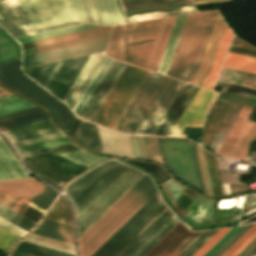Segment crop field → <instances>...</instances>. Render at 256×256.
Instances as JSON below:
<instances>
[{"label":"crop field","mask_w":256,"mask_h":256,"mask_svg":"<svg viewBox=\"0 0 256 256\" xmlns=\"http://www.w3.org/2000/svg\"><path fill=\"white\" fill-rule=\"evenodd\" d=\"M0 191L3 192V193H5V194H7V195H9V196H11V197H13V198H15L16 200H18V201H20V202H22V203L28 205L29 207H31V208H33V209H35V210H37V211H39V212H41V213H43V214H44V212L46 211V210H44V209H42V208H40V207L34 205L33 203H31V202H29V201H27V200L21 198L20 196H18V195H16V194L12 193V192H10V191H8L7 189H5V188H3V187H1V186H0Z\"/></svg>","instance_id":"63"},{"label":"crop field","mask_w":256,"mask_h":256,"mask_svg":"<svg viewBox=\"0 0 256 256\" xmlns=\"http://www.w3.org/2000/svg\"><path fill=\"white\" fill-rule=\"evenodd\" d=\"M255 224V223H254ZM254 224L242 226L232 237H230L212 256H221L226 252L249 228Z\"/></svg>","instance_id":"55"},{"label":"crop field","mask_w":256,"mask_h":256,"mask_svg":"<svg viewBox=\"0 0 256 256\" xmlns=\"http://www.w3.org/2000/svg\"><path fill=\"white\" fill-rule=\"evenodd\" d=\"M2 138L0 137V140H1Z\"/></svg>","instance_id":"69"},{"label":"crop field","mask_w":256,"mask_h":256,"mask_svg":"<svg viewBox=\"0 0 256 256\" xmlns=\"http://www.w3.org/2000/svg\"><path fill=\"white\" fill-rule=\"evenodd\" d=\"M157 192L147 175L132 186L79 238L80 256H90Z\"/></svg>","instance_id":"2"},{"label":"crop field","mask_w":256,"mask_h":256,"mask_svg":"<svg viewBox=\"0 0 256 256\" xmlns=\"http://www.w3.org/2000/svg\"><path fill=\"white\" fill-rule=\"evenodd\" d=\"M171 211L164 204L150 219H148L119 249L111 256H128L170 215ZM141 245V244H140ZM139 245V246H140ZM138 246V247H139Z\"/></svg>","instance_id":"17"},{"label":"crop field","mask_w":256,"mask_h":256,"mask_svg":"<svg viewBox=\"0 0 256 256\" xmlns=\"http://www.w3.org/2000/svg\"><path fill=\"white\" fill-rule=\"evenodd\" d=\"M113 62V59H109L104 57L102 62L100 63L99 67L97 68L96 72L94 73L93 77L91 78L90 82L88 83L87 87L83 91L82 95L76 102L75 106L73 107L72 111L75 115L78 116L80 111L82 110L83 106L95 90L96 86L108 70L109 66Z\"/></svg>","instance_id":"33"},{"label":"crop field","mask_w":256,"mask_h":256,"mask_svg":"<svg viewBox=\"0 0 256 256\" xmlns=\"http://www.w3.org/2000/svg\"><path fill=\"white\" fill-rule=\"evenodd\" d=\"M126 161L153 174L156 177L159 185L162 184L163 182H165L166 180H168L169 178H171L163 168H161L153 163L129 160V159H126Z\"/></svg>","instance_id":"51"},{"label":"crop field","mask_w":256,"mask_h":256,"mask_svg":"<svg viewBox=\"0 0 256 256\" xmlns=\"http://www.w3.org/2000/svg\"><path fill=\"white\" fill-rule=\"evenodd\" d=\"M34 107V105L12 95L0 99V116L22 109Z\"/></svg>","instance_id":"47"},{"label":"crop field","mask_w":256,"mask_h":256,"mask_svg":"<svg viewBox=\"0 0 256 256\" xmlns=\"http://www.w3.org/2000/svg\"><path fill=\"white\" fill-rule=\"evenodd\" d=\"M140 177L141 176L127 170L95 202L106 211Z\"/></svg>","instance_id":"26"},{"label":"crop field","mask_w":256,"mask_h":256,"mask_svg":"<svg viewBox=\"0 0 256 256\" xmlns=\"http://www.w3.org/2000/svg\"><path fill=\"white\" fill-rule=\"evenodd\" d=\"M215 85L226 87L225 89L226 92L256 98V89L254 88H249V87H244V86H239V85H234V84H229V83H224L219 81H217Z\"/></svg>","instance_id":"54"},{"label":"crop field","mask_w":256,"mask_h":256,"mask_svg":"<svg viewBox=\"0 0 256 256\" xmlns=\"http://www.w3.org/2000/svg\"><path fill=\"white\" fill-rule=\"evenodd\" d=\"M253 108L242 106L235 122L225 138L218 154L229 157L246 121Z\"/></svg>","instance_id":"30"},{"label":"crop field","mask_w":256,"mask_h":256,"mask_svg":"<svg viewBox=\"0 0 256 256\" xmlns=\"http://www.w3.org/2000/svg\"><path fill=\"white\" fill-rule=\"evenodd\" d=\"M198 86L185 83L153 134L168 135L195 94Z\"/></svg>","instance_id":"19"},{"label":"crop field","mask_w":256,"mask_h":256,"mask_svg":"<svg viewBox=\"0 0 256 256\" xmlns=\"http://www.w3.org/2000/svg\"><path fill=\"white\" fill-rule=\"evenodd\" d=\"M70 141L71 140H69L67 137H64V138H60V139H56V140H52V141H47V142H43V143H39V144H35V145L18 148L17 150H18V152H21V151L39 149V148H43V147H48V146H52V145L70 142Z\"/></svg>","instance_id":"61"},{"label":"crop field","mask_w":256,"mask_h":256,"mask_svg":"<svg viewBox=\"0 0 256 256\" xmlns=\"http://www.w3.org/2000/svg\"><path fill=\"white\" fill-rule=\"evenodd\" d=\"M33 233L73 243V227L57 222L44 219L39 228Z\"/></svg>","instance_id":"32"},{"label":"crop field","mask_w":256,"mask_h":256,"mask_svg":"<svg viewBox=\"0 0 256 256\" xmlns=\"http://www.w3.org/2000/svg\"><path fill=\"white\" fill-rule=\"evenodd\" d=\"M127 166L115 161L104 162L71 183L65 194L77 215L90 204Z\"/></svg>","instance_id":"4"},{"label":"crop field","mask_w":256,"mask_h":256,"mask_svg":"<svg viewBox=\"0 0 256 256\" xmlns=\"http://www.w3.org/2000/svg\"><path fill=\"white\" fill-rule=\"evenodd\" d=\"M45 159L48 163L58 166L60 168L66 169L68 171L74 172L76 174L80 173L81 171L85 170L87 167L77 164L75 162L69 161L57 155L47 156Z\"/></svg>","instance_id":"53"},{"label":"crop field","mask_w":256,"mask_h":256,"mask_svg":"<svg viewBox=\"0 0 256 256\" xmlns=\"http://www.w3.org/2000/svg\"><path fill=\"white\" fill-rule=\"evenodd\" d=\"M45 218L73 226L72 213L61 196Z\"/></svg>","instance_id":"40"},{"label":"crop field","mask_w":256,"mask_h":256,"mask_svg":"<svg viewBox=\"0 0 256 256\" xmlns=\"http://www.w3.org/2000/svg\"><path fill=\"white\" fill-rule=\"evenodd\" d=\"M97 27H101V26L83 24V25L59 29V30H55V31L45 32V33H41V34L17 38L16 40L19 44H22V43L41 40V39H45V38H50V37L60 36V35H64V34L79 32V31H83V30L93 29V28H97Z\"/></svg>","instance_id":"38"},{"label":"crop field","mask_w":256,"mask_h":256,"mask_svg":"<svg viewBox=\"0 0 256 256\" xmlns=\"http://www.w3.org/2000/svg\"><path fill=\"white\" fill-rule=\"evenodd\" d=\"M0 203L36 223L43 215L1 192H0Z\"/></svg>","instance_id":"39"},{"label":"crop field","mask_w":256,"mask_h":256,"mask_svg":"<svg viewBox=\"0 0 256 256\" xmlns=\"http://www.w3.org/2000/svg\"><path fill=\"white\" fill-rule=\"evenodd\" d=\"M18 63L19 59L0 65V83L45 107L67 131L73 120L70 112L58 101L50 98L47 92L22 75L18 69Z\"/></svg>","instance_id":"5"},{"label":"crop field","mask_w":256,"mask_h":256,"mask_svg":"<svg viewBox=\"0 0 256 256\" xmlns=\"http://www.w3.org/2000/svg\"><path fill=\"white\" fill-rule=\"evenodd\" d=\"M96 24L111 26L124 23L117 0H88Z\"/></svg>","instance_id":"23"},{"label":"crop field","mask_w":256,"mask_h":256,"mask_svg":"<svg viewBox=\"0 0 256 256\" xmlns=\"http://www.w3.org/2000/svg\"><path fill=\"white\" fill-rule=\"evenodd\" d=\"M187 15L177 16L174 22L173 28L171 30L169 39L167 41L166 47L164 49L162 58L160 60L159 66L157 68V73L166 74L171 57L173 55L175 46L177 44L179 35L181 33L184 21Z\"/></svg>","instance_id":"31"},{"label":"crop field","mask_w":256,"mask_h":256,"mask_svg":"<svg viewBox=\"0 0 256 256\" xmlns=\"http://www.w3.org/2000/svg\"><path fill=\"white\" fill-rule=\"evenodd\" d=\"M231 36H232V33H231L229 27L227 26V29H226V31H225L223 40H222V42H221L219 51H218L217 56H216V59H215V61H214L212 70H211V72H210L208 81H207V83H206V86H205L206 88H209V89H212V88H213V85H214V83H215L217 74H218V72H219L221 63H222V61H223L225 52H226V50H227L229 41H230V39H231Z\"/></svg>","instance_id":"41"},{"label":"crop field","mask_w":256,"mask_h":256,"mask_svg":"<svg viewBox=\"0 0 256 256\" xmlns=\"http://www.w3.org/2000/svg\"><path fill=\"white\" fill-rule=\"evenodd\" d=\"M19 58V47L0 29V64Z\"/></svg>","instance_id":"43"},{"label":"crop field","mask_w":256,"mask_h":256,"mask_svg":"<svg viewBox=\"0 0 256 256\" xmlns=\"http://www.w3.org/2000/svg\"><path fill=\"white\" fill-rule=\"evenodd\" d=\"M80 20L83 22L94 23L91 10L87 0H74Z\"/></svg>","instance_id":"56"},{"label":"crop field","mask_w":256,"mask_h":256,"mask_svg":"<svg viewBox=\"0 0 256 256\" xmlns=\"http://www.w3.org/2000/svg\"><path fill=\"white\" fill-rule=\"evenodd\" d=\"M175 17L162 18L158 20L147 53L142 63V68L154 72L156 71Z\"/></svg>","instance_id":"15"},{"label":"crop field","mask_w":256,"mask_h":256,"mask_svg":"<svg viewBox=\"0 0 256 256\" xmlns=\"http://www.w3.org/2000/svg\"><path fill=\"white\" fill-rule=\"evenodd\" d=\"M196 12L194 5L126 16L127 23Z\"/></svg>","instance_id":"36"},{"label":"crop field","mask_w":256,"mask_h":256,"mask_svg":"<svg viewBox=\"0 0 256 256\" xmlns=\"http://www.w3.org/2000/svg\"><path fill=\"white\" fill-rule=\"evenodd\" d=\"M0 227L8 230L9 232H11V233H13V234H15V235H17L19 237L21 235H23L25 232H27V231H25V230L15 226V225H13L12 223H10V222L2 219V218H0Z\"/></svg>","instance_id":"62"},{"label":"crop field","mask_w":256,"mask_h":256,"mask_svg":"<svg viewBox=\"0 0 256 256\" xmlns=\"http://www.w3.org/2000/svg\"><path fill=\"white\" fill-rule=\"evenodd\" d=\"M255 238H256V224L246 234H244L226 253L224 252L225 253V254L223 253L224 255L223 254L222 255L237 256Z\"/></svg>","instance_id":"50"},{"label":"crop field","mask_w":256,"mask_h":256,"mask_svg":"<svg viewBox=\"0 0 256 256\" xmlns=\"http://www.w3.org/2000/svg\"><path fill=\"white\" fill-rule=\"evenodd\" d=\"M220 229L211 239H209L193 256H203L222 236H224L230 229Z\"/></svg>","instance_id":"57"},{"label":"crop field","mask_w":256,"mask_h":256,"mask_svg":"<svg viewBox=\"0 0 256 256\" xmlns=\"http://www.w3.org/2000/svg\"><path fill=\"white\" fill-rule=\"evenodd\" d=\"M212 1H219V0H193L194 4L212 2Z\"/></svg>","instance_id":"67"},{"label":"crop field","mask_w":256,"mask_h":256,"mask_svg":"<svg viewBox=\"0 0 256 256\" xmlns=\"http://www.w3.org/2000/svg\"><path fill=\"white\" fill-rule=\"evenodd\" d=\"M45 119H49V117L39 108L35 107L26 111L0 117V130L3 131Z\"/></svg>","instance_id":"28"},{"label":"crop field","mask_w":256,"mask_h":256,"mask_svg":"<svg viewBox=\"0 0 256 256\" xmlns=\"http://www.w3.org/2000/svg\"><path fill=\"white\" fill-rule=\"evenodd\" d=\"M97 128L103 153L134 157L129 135Z\"/></svg>","instance_id":"22"},{"label":"crop field","mask_w":256,"mask_h":256,"mask_svg":"<svg viewBox=\"0 0 256 256\" xmlns=\"http://www.w3.org/2000/svg\"><path fill=\"white\" fill-rule=\"evenodd\" d=\"M163 163L186 184L203 192L194 142L187 139L157 137Z\"/></svg>","instance_id":"6"},{"label":"crop field","mask_w":256,"mask_h":256,"mask_svg":"<svg viewBox=\"0 0 256 256\" xmlns=\"http://www.w3.org/2000/svg\"><path fill=\"white\" fill-rule=\"evenodd\" d=\"M102 53L91 55L90 59L86 63L85 67L83 68L82 72L78 76L77 80L73 84L72 88L70 89L69 93L64 99V103L71 108L83 88L85 87L86 83L88 82L89 78L91 77L92 73L94 72L95 68L97 67L102 55Z\"/></svg>","instance_id":"29"},{"label":"crop field","mask_w":256,"mask_h":256,"mask_svg":"<svg viewBox=\"0 0 256 256\" xmlns=\"http://www.w3.org/2000/svg\"><path fill=\"white\" fill-rule=\"evenodd\" d=\"M19 237L9 233L8 231L0 228V249L8 252L10 247Z\"/></svg>","instance_id":"59"},{"label":"crop field","mask_w":256,"mask_h":256,"mask_svg":"<svg viewBox=\"0 0 256 256\" xmlns=\"http://www.w3.org/2000/svg\"><path fill=\"white\" fill-rule=\"evenodd\" d=\"M11 256H26V255L13 252V254Z\"/></svg>","instance_id":"68"},{"label":"crop field","mask_w":256,"mask_h":256,"mask_svg":"<svg viewBox=\"0 0 256 256\" xmlns=\"http://www.w3.org/2000/svg\"><path fill=\"white\" fill-rule=\"evenodd\" d=\"M30 177L20 162L16 161L4 141H0V180Z\"/></svg>","instance_id":"27"},{"label":"crop field","mask_w":256,"mask_h":256,"mask_svg":"<svg viewBox=\"0 0 256 256\" xmlns=\"http://www.w3.org/2000/svg\"><path fill=\"white\" fill-rule=\"evenodd\" d=\"M157 20L140 22L137 24L132 41L130 43L125 62L136 66H141L152 33L154 31Z\"/></svg>","instance_id":"18"},{"label":"crop field","mask_w":256,"mask_h":256,"mask_svg":"<svg viewBox=\"0 0 256 256\" xmlns=\"http://www.w3.org/2000/svg\"><path fill=\"white\" fill-rule=\"evenodd\" d=\"M182 1H188V0H124L121 2H122L123 10L127 11V10L158 6V5H164V4L176 3V2H182Z\"/></svg>","instance_id":"48"},{"label":"crop field","mask_w":256,"mask_h":256,"mask_svg":"<svg viewBox=\"0 0 256 256\" xmlns=\"http://www.w3.org/2000/svg\"><path fill=\"white\" fill-rule=\"evenodd\" d=\"M130 137H131L135 157L147 158L143 138L138 136H132V135H130Z\"/></svg>","instance_id":"60"},{"label":"crop field","mask_w":256,"mask_h":256,"mask_svg":"<svg viewBox=\"0 0 256 256\" xmlns=\"http://www.w3.org/2000/svg\"><path fill=\"white\" fill-rule=\"evenodd\" d=\"M216 94L199 87L169 136L185 137L186 127L200 128Z\"/></svg>","instance_id":"11"},{"label":"crop field","mask_w":256,"mask_h":256,"mask_svg":"<svg viewBox=\"0 0 256 256\" xmlns=\"http://www.w3.org/2000/svg\"><path fill=\"white\" fill-rule=\"evenodd\" d=\"M58 155L64 158H67L69 160L75 161L77 163H80L82 165H85L89 168L101 160L108 159V157H103V156L88 152L84 149L67 152L63 154H58Z\"/></svg>","instance_id":"44"},{"label":"crop field","mask_w":256,"mask_h":256,"mask_svg":"<svg viewBox=\"0 0 256 256\" xmlns=\"http://www.w3.org/2000/svg\"><path fill=\"white\" fill-rule=\"evenodd\" d=\"M35 29L80 21L73 0H18Z\"/></svg>","instance_id":"9"},{"label":"crop field","mask_w":256,"mask_h":256,"mask_svg":"<svg viewBox=\"0 0 256 256\" xmlns=\"http://www.w3.org/2000/svg\"><path fill=\"white\" fill-rule=\"evenodd\" d=\"M107 40L77 45L23 57L22 67L105 50Z\"/></svg>","instance_id":"14"},{"label":"crop field","mask_w":256,"mask_h":256,"mask_svg":"<svg viewBox=\"0 0 256 256\" xmlns=\"http://www.w3.org/2000/svg\"><path fill=\"white\" fill-rule=\"evenodd\" d=\"M89 56L36 66L31 78L63 101Z\"/></svg>","instance_id":"7"},{"label":"crop field","mask_w":256,"mask_h":256,"mask_svg":"<svg viewBox=\"0 0 256 256\" xmlns=\"http://www.w3.org/2000/svg\"><path fill=\"white\" fill-rule=\"evenodd\" d=\"M80 121H81L80 119H77V118L75 119V121H74V123H73V125H72V127H71V129L69 131V135L71 137H73V135H74V133H75V131H76Z\"/></svg>","instance_id":"65"},{"label":"crop field","mask_w":256,"mask_h":256,"mask_svg":"<svg viewBox=\"0 0 256 256\" xmlns=\"http://www.w3.org/2000/svg\"><path fill=\"white\" fill-rule=\"evenodd\" d=\"M110 29L111 28L102 27V28L83 31V32H79V33H74V34L64 35V36H60V37L45 39V40H41V41L31 42V43H27V44H22L21 46H22V49H24V48H29V47H34V46L59 42V41H64V40H68V39H73V38H78V37H83V36L108 32V31H110Z\"/></svg>","instance_id":"46"},{"label":"crop field","mask_w":256,"mask_h":256,"mask_svg":"<svg viewBox=\"0 0 256 256\" xmlns=\"http://www.w3.org/2000/svg\"><path fill=\"white\" fill-rule=\"evenodd\" d=\"M241 226L233 227L224 237H222L204 256H211L231 235Z\"/></svg>","instance_id":"64"},{"label":"crop field","mask_w":256,"mask_h":256,"mask_svg":"<svg viewBox=\"0 0 256 256\" xmlns=\"http://www.w3.org/2000/svg\"><path fill=\"white\" fill-rule=\"evenodd\" d=\"M145 74L146 71L127 66L92 123L111 128Z\"/></svg>","instance_id":"8"},{"label":"crop field","mask_w":256,"mask_h":256,"mask_svg":"<svg viewBox=\"0 0 256 256\" xmlns=\"http://www.w3.org/2000/svg\"><path fill=\"white\" fill-rule=\"evenodd\" d=\"M163 204L157 192L91 256H110Z\"/></svg>","instance_id":"10"},{"label":"crop field","mask_w":256,"mask_h":256,"mask_svg":"<svg viewBox=\"0 0 256 256\" xmlns=\"http://www.w3.org/2000/svg\"><path fill=\"white\" fill-rule=\"evenodd\" d=\"M76 149H81V147L77 146L73 142H70V143H66V144H61V145H57V146L39 149V150L22 152L19 154H20L21 158L24 160V159H28V158L58 154V153L72 151V150H76Z\"/></svg>","instance_id":"45"},{"label":"crop field","mask_w":256,"mask_h":256,"mask_svg":"<svg viewBox=\"0 0 256 256\" xmlns=\"http://www.w3.org/2000/svg\"><path fill=\"white\" fill-rule=\"evenodd\" d=\"M124 66L125 63L114 60L111 67L103 77L102 81L94 91L93 95L85 105L82 112L80 113V117L90 120L95 110L107 94L108 90L110 89Z\"/></svg>","instance_id":"21"},{"label":"crop field","mask_w":256,"mask_h":256,"mask_svg":"<svg viewBox=\"0 0 256 256\" xmlns=\"http://www.w3.org/2000/svg\"><path fill=\"white\" fill-rule=\"evenodd\" d=\"M0 185L46 210L57 194L35 178L0 182Z\"/></svg>","instance_id":"12"},{"label":"crop field","mask_w":256,"mask_h":256,"mask_svg":"<svg viewBox=\"0 0 256 256\" xmlns=\"http://www.w3.org/2000/svg\"><path fill=\"white\" fill-rule=\"evenodd\" d=\"M136 24L137 23L113 27L110 41L105 52L106 56L122 61L124 60Z\"/></svg>","instance_id":"24"},{"label":"crop field","mask_w":256,"mask_h":256,"mask_svg":"<svg viewBox=\"0 0 256 256\" xmlns=\"http://www.w3.org/2000/svg\"><path fill=\"white\" fill-rule=\"evenodd\" d=\"M179 221L172 214L139 248L130 256H143L152 246H154L170 229Z\"/></svg>","instance_id":"35"},{"label":"crop field","mask_w":256,"mask_h":256,"mask_svg":"<svg viewBox=\"0 0 256 256\" xmlns=\"http://www.w3.org/2000/svg\"><path fill=\"white\" fill-rule=\"evenodd\" d=\"M64 136H65L64 133L62 131H60V132L48 134L45 136L29 139L26 141L14 143V146H15V148H18V147L35 144V143H39V142H43V141H47V140H52V139H56V138H60V137H64Z\"/></svg>","instance_id":"58"},{"label":"crop field","mask_w":256,"mask_h":256,"mask_svg":"<svg viewBox=\"0 0 256 256\" xmlns=\"http://www.w3.org/2000/svg\"><path fill=\"white\" fill-rule=\"evenodd\" d=\"M201 232L193 233L184 228L179 222L144 256H177Z\"/></svg>","instance_id":"13"},{"label":"crop field","mask_w":256,"mask_h":256,"mask_svg":"<svg viewBox=\"0 0 256 256\" xmlns=\"http://www.w3.org/2000/svg\"><path fill=\"white\" fill-rule=\"evenodd\" d=\"M160 186L171 205L176 200V198L187 188L172 178Z\"/></svg>","instance_id":"52"},{"label":"crop field","mask_w":256,"mask_h":256,"mask_svg":"<svg viewBox=\"0 0 256 256\" xmlns=\"http://www.w3.org/2000/svg\"><path fill=\"white\" fill-rule=\"evenodd\" d=\"M227 24L223 21L220 12L204 52L202 61L194 79V84L205 86L213 61L218 51Z\"/></svg>","instance_id":"16"},{"label":"crop field","mask_w":256,"mask_h":256,"mask_svg":"<svg viewBox=\"0 0 256 256\" xmlns=\"http://www.w3.org/2000/svg\"><path fill=\"white\" fill-rule=\"evenodd\" d=\"M23 241L31 242L34 244H38L41 246L49 247L52 249H56L59 251H63V252H67V253L75 255V249H74L73 244L58 241V240L40 236L37 234L31 233L29 236H27L25 239H23Z\"/></svg>","instance_id":"37"},{"label":"crop field","mask_w":256,"mask_h":256,"mask_svg":"<svg viewBox=\"0 0 256 256\" xmlns=\"http://www.w3.org/2000/svg\"><path fill=\"white\" fill-rule=\"evenodd\" d=\"M256 245V239L247 246L238 256H245Z\"/></svg>","instance_id":"66"},{"label":"crop field","mask_w":256,"mask_h":256,"mask_svg":"<svg viewBox=\"0 0 256 256\" xmlns=\"http://www.w3.org/2000/svg\"><path fill=\"white\" fill-rule=\"evenodd\" d=\"M222 65L256 73V58L253 57L228 52Z\"/></svg>","instance_id":"42"},{"label":"crop field","mask_w":256,"mask_h":256,"mask_svg":"<svg viewBox=\"0 0 256 256\" xmlns=\"http://www.w3.org/2000/svg\"><path fill=\"white\" fill-rule=\"evenodd\" d=\"M256 138V124L247 121L230 157L244 159L247 151Z\"/></svg>","instance_id":"34"},{"label":"crop field","mask_w":256,"mask_h":256,"mask_svg":"<svg viewBox=\"0 0 256 256\" xmlns=\"http://www.w3.org/2000/svg\"><path fill=\"white\" fill-rule=\"evenodd\" d=\"M0 217L12 222L13 224L25 229H31L36 223L26 219L25 217L13 212L12 210L0 204Z\"/></svg>","instance_id":"49"},{"label":"crop field","mask_w":256,"mask_h":256,"mask_svg":"<svg viewBox=\"0 0 256 256\" xmlns=\"http://www.w3.org/2000/svg\"><path fill=\"white\" fill-rule=\"evenodd\" d=\"M184 82L147 73L113 129L151 135Z\"/></svg>","instance_id":"1"},{"label":"crop field","mask_w":256,"mask_h":256,"mask_svg":"<svg viewBox=\"0 0 256 256\" xmlns=\"http://www.w3.org/2000/svg\"><path fill=\"white\" fill-rule=\"evenodd\" d=\"M24 163L34 174L57 188L59 191L66 182L76 176L74 173L48 164L44 157L26 160ZM60 181L64 182L62 186L58 185Z\"/></svg>","instance_id":"20"},{"label":"crop field","mask_w":256,"mask_h":256,"mask_svg":"<svg viewBox=\"0 0 256 256\" xmlns=\"http://www.w3.org/2000/svg\"><path fill=\"white\" fill-rule=\"evenodd\" d=\"M218 10L187 16L167 76L193 82Z\"/></svg>","instance_id":"3"},{"label":"crop field","mask_w":256,"mask_h":256,"mask_svg":"<svg viewBox=\"0 0 256 256\" xmlns=\"http://www.w3.org/2000/svg\"><path fill=\"white\" fill-rule=\"evenodd\" d=\"M60 131L58 126L51 120H45L34 124L3 131L12 143L41 136L44 134Z\"/></svg>","instance_id":"25"}]
</instances>
